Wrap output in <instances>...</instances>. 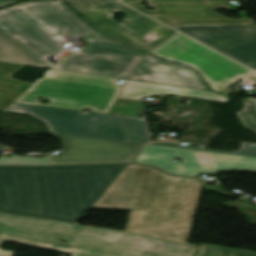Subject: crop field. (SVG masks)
<instances>
[{
  "label": "crop field",
  "mask_w": 256,
  "mask_h": 256,
  "mask_svg": "<svg viewBox=\"0 0 256 256\" xmlns=\"http://www.w3.org/2000/svg\"><path fill=\"white\" fill-rule=\"evenodd\" d=\"M126 165L0 167V212L78 224Z\"/></svg>",
  "instance_id": "8a807250"
},
{
  "label": "crop field",
  "mask_w": 256,
  "mask_h": 256,
  "mask_svg": "<svg viewBox=\"0 0 256 256\" xmlns=\"http://www.w3.org/2000/svg\"><path fill=\"white\" fill-rule=\"evenodd\" d=\"M198 180L128 164L93 207L131 209L125 231L187 243L201 192Z\"/></svg>",
  "instance_id": "ac0d7876"
},
{
  "label": "crop field",
  "mask_w": 256,
  "mask_h": 256,
  "mask_svg": "<svg viewBox=\"0 0 256 256\" xmlns=\"http://www.w3.org/2000/svg\"><path fill=\"white\" fill-rule=\"evenodd\" d=\"M6 240L72 256H193L198 249L127 232L0 213V245ZM14 254L0 249V256Z\"/></svg>",
  "instance_id": "34b2d1b8"
},
{
  "label": "crop field",
  "mask_w": 256,
  "mask_h": 256,
  "mask_svg": "<svg viewBox=\"0 0 256 256\" xmlns=\"http://www.w3.org/2000/svg\"><path fill=\"white\" fill-rule=\"evenodd\" d=\"M20 1L0 0V8ZM0 31L48 68L66 35L77 37L81 27L54 1H31L1 9Z\"/></svg>",
  "instance_id": "412701ff"
},
{
  "label": "crop field",
  "mask_w": 256,
  "mask_h": 256,
  "mask_svg": "<svg viewBox=\"0 0 256 256\" xmlns=\"http://www.w3.org/2000/svg\"><path fill=\"white\" fill-rule=\"evenodd\" d=\"M118 80L48 69L14 102L108 113L122 86L115 84ZM38 97L50 104L40 103Z\"/></svg>",
  "instance_id": "f4fd0767"
},
{
  "label": "crop field",
  "mask_w": 256,
  "mask_h": 256,
  "mask_svg": "<svg viewBox=\"0 0 256 256\" xmlns=\"http://www.w3.org/2000/svg\"><path fill=\"white\" fill-rule=\"evenodd\" d=\"M101 35L148 52L175 31L118 2H67ZM126 14L122 22L113 16Z\"/></svg>",
  "instance_id": "dd49c442"
},
{
  "label": "crop field",
  "mask_w": 256,
  "mask_h": 256,
  "mask_svg": "<svg viewBox=\"0 0 256 256\" xmlns=\"http://www.w3.org/2000/svg\"><path fill=\"white\" fill-rule=\"evenodd\" d=\"M151 54L195 67L213 91L217 92L223 91L236 80L254 72L182 34H177L153 50Z\"/></svg>",
  "instance_id": "e52e79f7"
},
{
  "label": "crop field",
  "mask_w": 256,
  "mask_h": 256,
  "mask_svg": "<svg viewBox=\"0 0 256 256\" xmlns=\"http://www.w3.org/2000/svg\"><path fill=\"white\" fill-rule=\"evenodd\" d=\"M6 111L29 113L45 121L51 133L129 142L122 117L118 115L95 112L84 115L77 110L16 103Z\"/></svg>",
  "instance_id": "d8731c3e"
},
{
  "label": "crop field",
  "mask_w": 256,
  "mask_h": 256,
  "mask_svg": "<svg viewBox=\"0 0 256 256\" xmlns=\"http://www.w3.org/2000/svg\"><path fill=\"white\" fill-rule=\"evenodd\" d=\"M182 158L181 163L173 162ZM134 162L156 165L172 174L199 177L200 173L242 170L256 172V158L146 145Z\"/></svg>",
  "instance_id": "5a996713"
},
{
  "label": "crop field",
  "mask_w": 256,
  "mask_h": 256,
  "mask_svg": "<svg viewBox=\"0 0 256 256\" xmlns=\"http://www.w3.org/2000/svg\"><path fill=\"white\" fill-rule=\"evenodd\" d=\"M173 28L256 69L254 25H182Z\"/></svg>",
  "instance_id": "3316defc"
},
{
  "label": "crop field",
  "mask_w": 256,
  "mask_h": 256,
  "mask_svg": "<svg viewBox=\"0 0 256 256\" xmlns=\"http://www.w3.org/2000/svg\"><path fill=\"white\" fill-rule=\"evenodd\" d=\"M63 141L60 155L50 164L128 161L140 145L53 134Z\"/></svg>",
  "instance_id": "28ad6ade"
},
{
  "label": "crop field",
  "mask_w": 256,
  "mask_h": 256,
  "mask_svg": "<svg viewBox=\"0 0 256 256\" xmlns=\"http://www.w3.org/2000/svg\"><path fill=\"white\" fill-rule=\"evenodd\" d=\"M49 68L125 79L141 57L79 49L70 50Z\"/></svg>",
  "instance_id": "d1516ede"
},
{
  "label": "crop field",
  "mask_w": 256,
  "mask_h": 256,
  "mask_svg": "<svg viewBox=\"0 0 256 256\" xmlns=\"http://www.w3.org/2000/svg\"><path fill=\"white\" fill-rule=\"evenodd\" d=\"M166 25L255 23L253 19L230 20L209 9L229 8L226 2L204 4H149L156 8L147 11L140 4H127Z\"/></svg>",
  "instance_id": "22f410ed"
},
{
  "label": "crop field",
  "mask_w": 256,
  "mask_h": 256,
  "mask_svg": "<svg viewBox=\"0 0 256 256\" xmlns=\"http://www.w3.org/2000/svg\"><path fill=\"white\" fill-rule=\"evenodd\" d=\"M128 79L210 91L192 68L164 62L150 55Z\"/></svg>",
  "instance_id": "cbeb9de0"
},
{
  "label": "crop field",
  "mask_w": 256,
  "mask_h": 256,
  "mask_svg": "<svg viewBox=\"0 0 256 256\" xmlns=\"http://www.w3.org/2000/svg\"><path fill=\"white\" fill-rule=\"evenodd\" d=\"M155 94H174L227 102L222 94L127 80L121 96L140 99Z\"/></svg>",
  "instance_id": "5142ce71"
},
{
  "label": "crop field",
  "mask_w": 256,
  "mask_h": 256,
  "mask_svg": "<svg viewBox=\"0 0 256 256\" xmlns=\"http://www.w3.org/2000/svg\"><path fill=\"white\" fill-rule=\"evenodd\" d=\"M23 67V65L0 62V111L11 105L31 85L10 78Z\"/></svg>",
  "instance_id": "d9b57169"
},
{
  "label": "crop field",
  "mask_w": 256,
  "mask_h": 256,
  "mask_svg": "<svg viewBox=\"0 0 256 256\" xmlns=\"http://www.w3.org/2000/svg\"><path fill=\"white\" fill-rule=\"evenodd\" d=\"M59 4L67 11L69 12L78 22L83 24L85 26V31L81 36V39L85 40L87 43L85 45V48H91V49H98V50H105V51H112V52H119V53H126V54H133V55H140L144 56L145 53L107 40L105 38H102L98 36L90 27H88L72 10H70L63 2H59Z\"/></svg>",
  "instance_id": "733c2abd"
},
{
  "label": "crop field",
  "mask_w": 256,
  "mask_h": 256,
  "mask_svg": "<svg viewBox=\"0 0 256 256\" xmlns=\"http://www.w3.org/2000/svg\"><path fill=\"white\" fill-rule=\"evenodd\" d=\"M0 61L46 68L1 32Z\"/></svg>",
  "instance_id": "4a817a6b"
},
{
  "label": "crop field",
  "mask_w": 256,
  "mask_h": 256,
  "mask_svg": "<svg viewBox=\"0 0 256 256\" xmlns=\"http://www.w3.org/2000/svg\"><path fill=\"white\" fill-rule=\"evenodd\" d=\"M194 256H256V252L201 243Z\"/></svg>",
  "instance_id": "bc2a9ffb"
},
{
  "label": "crop field",
  "mask_w": 256,
  "mask_h": 256,
  "mask_svg": "<svg viewBox=\"0 0 256 256\" xmlns=\"http://www.w3.org/2000/svg\"><path fill=\"white\" fill-rule=\"evenodd\" d=\"M126 127L133 143H146L149 142L148 133L142 118L123 116Z\"/></svg>",
  "instance_id": "214f88e0"
},
{
  "label": "crop field",
  "mask_w": 256,
  "mask_h": 256,
  "mask_svg": "<svg viewBox=\"0 0 256 256\" xmlns=\"http://www.w3.org/2000/svg\"><path fill=\"white\" fill-rule=\"evenodd\" d=\"M143 102L117 99L109 113L140 117Z\"/></svg>",
  "instance_id": "92a150f3"
},
{
  "label": "crop field",
  "mask_w": 256,
  "mask_h": 256,
  "mask_svg": "<svg viewBox=\"0 0 256 256\" xmlns=\"http://www.w3.org/2000/svg\"><path fill=\"white\" fill-rule=\"evenodd\" d=\"M151 145H159V146H167V147H175V148H184V149H192V150H201V151L256 157V144H250V143H242L241 149L236 152L195 148V147H185V146H180L178 144H172V143H162V144L152 143Z\"/></svg>",
  "instance_id": "dafd665d"
},
{
  "label": "crop field",
  "mask_w": 256,
  "mask_h": 256,
  "mask_svg": "<svg viewBox=\"0 0 256 256\" xmlns=\"http://www.w3.org/2000/svg\"><path fill=\"white\" fill-rule=\"evenodd\" d=\"M244 103V111H241L237 114L244 122L245 127L256 131V106L246 100Z\"/></svg>",
  "instance_id": "00972430"
},
{
  "label": "crop field",
  "mask_w": 256,
  "mask_h": 256,
  "mask_svg": "<svg viewBox=\"0 0 256 256\" xmlns=\"http://www.w3.org/2000/svg\"><path fill=\"white\" fill-rule=\"evenodd\" d=\"M51 158L50 156H46L43 159L20 156H12L11 158L0 157V164H46Z\"/></svg>",
  "instance_id": "a9b5d70f"
},
{
  "label": "crop field",
  "mask_w": 256,
  "mask_h": 256,
  "mask_svg": "<svg viewBox=\"0 0 256 256\" xmlns=\"http://www.w3.org/2000/svg\"><path fill=\"white\" fill-rule=\"evenodd\" d=\"M123 2H141L140 0H122ZM201 0H148V2H176V3H196Z\"/></svg>",
  "instance_id": "4177f3b9"
},
{
  "label": "crop field",
  "mask_w": 256,
  "mask_h": 256,
  "mask_svg": "<svg viewBox=\"0 0 256 256\" xmlns=\"http://www.w3.org/2000/svg\"><path fill=\"white\" fill-rule=\"evenodd\" d=\"M248 78H250V79L256 81V74H254V75H252V76H250V77H248ZM246 99H248V100H250L251 102H253V103L256 104V98L248 97V98H246Z\"/></svg>",
  "instance_id": "730fd06b"
}]
</instances>
